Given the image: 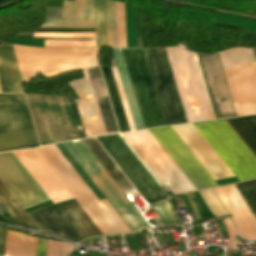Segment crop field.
<instances>
[{
	"label": "crop field",
	"mask_w": 256,
	"mask_h": 256,
	"mask_svg": "<svg viewBox=\"0 0 256 256\" xmlns=\"http://www.w3.org/2000/svg\"><path fill=\"white\" fill-rule=\"evenodd\" d=\"M13 153L53 203L72 198L34 149L14 151ZM29 214L42 231L75 242L91 236L102 235L73 198Z\"/></svg>",
	"instance_id": "1"
},
{
	"label": "crop field",
	"mask_w": 256,
	"mask_h": 256,
	"mask_svg": "<svg viewBox=\"0 0 256 256\" xmlns=\"http://www.w3.org/2000/svg\"><path fill=\"white\" fill-rule=\"evenodd\" d=\"M256 155V116L227 119ZM226 120L194 125L239 181L256 178V157Z\"/></svg>",
	"instance_id": "2"
},
{
	"label": "crop field",
	"mask_w": 256,
	"mask_h": 256,
	"mask_svg": "<svg viewBox=\"0 0 256 256\" xmlns=\"http://www.w3.org/2000/svg\"><path fill=\"white\" fill-rule=\"evenodd\" d=\"M36 150L79 204L98 200L55 145ZM80 206L103 235L131 232L106 200Z\"/></svg>",
	"instance_id": "3"
},
{
	"label": "crop field",
	"mask_w": 256,
	"mask_h": 256,
	"mask_svg": "<svg viewBox=\"0 0 256 256\" xmlns=\"http://www.w3.org/2000/svg\"><path fill=\"white\" fill-rule=\"evenodd\" d=\"M165 49L187 121L216 119L197 54L180 47Z\"/></svg>",
	"instance_id": "4"
},
{
	"label": "crop field",
	"mask_w": 256,
	"mask_h": 256,
	"mask_svg": "<svg viewBox=\"0 0 256 256\" xmlns=\"http://www.w3.org/2000/svg\"><path fill=\"white\" fill-rule=\"evenodd\" d=\"M14 46L24 83L39 71L50 78L97 65L95 49H44Z\"/></svg>",
	"instance_id": "5"
},
{
	"label": "crop field",
	"mask_w": 256,
	"mask_h": 256,
	"mask_svg": "<svg viewBox=\"0 0 256 256\" xmlns=\"http://www.w3.org/2000/svg\"><path fill=\"white\" fill-rule=\"evenodd\" d=\"M121 170L140 164L118 135L97 138ZM135 188L148 204L165 199V194L142 164L123 170ZM164 224L176 221L175 214L167 199L150 204Z\"/></svg>",
	"instance_id": "6"
},
{
	"label": "crop field",
	"mask_w": 256,
	"mask_h": 256,
	"mask_svg": "<svg viewBox=\"0 0 256 256\" xmlns=\"http://www.w3.org/2000/svg\"><path fill=\"white\" fill-rule=\"evenodd\" d=\"M79 141L76 143H64L63 145L131 231L138 232L143 227L150 228L82 141Z\"/></svg>",
	"instance_id": "7"
},
{
	"label": "crop field",
	"mask_w": 256,
	"mask_h": 256,
	"mask_svg": "<svg viewBox=\"0 0 256 256\" xmlns=\"http://www.w3.org/2000/svg\"><path fill=\"white\" fill-rule=\"evenodd\" d=\"M256 58V50H253ZM252 50L232 48L220 52L238 116L256 114V61Z\"/></svg>",
	"instance_id": "8"
},
{
	"label": "crop field",
	"mask_w": 256,
	"mask_h": 256,
	"mask_svg": "<svg viewBox=\"0 0 256 256\" xmlns=\"http://www.w3.org/2000/svg\"><path fill=\"white\" fill-rule=\"evenodd\" d=\"M22 95H0V151L39 146Z\"/></svg>",
	"instance_id": "9"
},
{
	"label": "crop field",
	"mask_w": 256,
	"mask_h": 256,
	"mask_svg": "<svg viewBox=\"0 0 256 256\" xmlns=\"http://www.w3.org/2000/svg\"><path fill=\"white\" fill-rule=\"evenodd\" d=\"M165 124L187 122L164 48L143 49Z\"/></svg>",
	"instance_id": "10"
},
{
	"label": "crop field",
	"mask_w": 256,
	"mask_h": 256,
	"mask_svg": "<svg viewBox=\"0 0 256 256\" xmlns=\"http://www.w3.org/2000/svg\"><path fill=\"white\" fill-rule=\"evenodd\" d=\"M122 135L162 185H168L170 189L190 185L148 130Z\"/></svg>",
	"instance_id": "11"
},
{
	"label": "crop field",
	"mask_w": 256,
	"mask_h": 256,
	"mask_svg": "<svg viewBox=\"0 0 256 256\" xmlns=\"http://www.w3.org/2000/svg\"><path fill=\"white\" fill-rule=\"evenodd\" d=\"M121 50L145 127L148 128L165 125L143 50Z\"/></svg>",
	"instance_id": "12"
},
{
	"label": "crop field",
	"mask_w": 256,
	"mask_h": 256,
	"mask_svg": "<svg viewBox=\"0 0 256 256\" xmlns=\"http://www.w3.org/2000/svg\"><path fill=\"white\" fill-rule=\"evenodd\" d=\"M149 131L191 181L196 190L217 186L171 127L150 129Z\"/></svg>",
	"instance_id": "13"
},
{
	"label": "crop field",
	"mask_w": 256,
	"mask_h": 256,
	"mask_svg": "<svg viewBox=\"0 0 256 256\" xmlns=\"http://www.w3.org/2000/svg\"><path fill=\"white\" fill-rule=\"evenodd\" d=\"M0 180L23 209L49 201L12 152L0 153Z\"/></svg>",
	"instance_id": "14"
},
{
	"label": "crop field",
	"mask_w": 256,
	"mask_h": 256,
	"mask_svg": "<svg viewBox=\"0 0 256 256\" xmlns=\"http://www.w3.org/2000/svg\"><path fill=\"white\" fill-rule=\"evenodd\" d=\"M219 119L234 117L236 111L219 54H199Z\"/></svg>",
	"instance_id": "15"
},
{
	"label": "crop field",
	"mask_w": 256,
	"mask_h": 256,
	"mask_svg": "<svg viewBox=\"0 0 256 256\" xmlns=\"http://www.w3.org/2000/svg\"><path fill=\"white\" fill-rule=\"evenodd\" d=\"M171 127L214 180L233 176L192 124Z\"/></svg>",
	"instance_id": "16"
},
{
	"label": "crop field",
	"mask_w": 256,
	"mask_h": 256,
	"mask_svg": "<svg viewBox=\"0 0 256 256\" xmlns=\"http://www.w3.org/2000/svg\"><path fill=\"white\" fill-rule=\"evenodd\" d=\"M215 190L228 208L246 240L256 239V221L235 189L234 185L218 187L215 188ZM236 224L235 227L238 235L244 238Z\"/></svg>",
	"instance_id": "17"
},
{
	"label": "crop field",
	"mask_w": 256,
	"mask_h": 256,
	"mask_svg": "<svg viewBox=\"0 0 256 256\" xmlns=\"http://www.w3.org/2000/svg\"><path fill=\"white\" fill-rule=\"evenodd\" d=\"M46 21L42 27L94 28L93 0L65 1L62 20Z\"/></svg>",
	"instance_id": "18"
},
{
	"label": "crop field",
	"mask_w": 256,
	"mask_h": 256,
	"mask_svg": "<svg viewBox=\"0 0 256 256\" xmlns=\"http://www.w3.org/2000/svg\"><path fill=\"white\" fill-rule=\"evenodd\" d=\"M100 67H101V70H102V73H103V77H104V80H105V83H106V86H107V90H108V93H109V97H110V100H111V103H112V107H113V110H114V114H115L116 121H117L120 132L135 130L134 126H133L131 116H130V112H129V109H128V106H127V103H126V99H125V96H124V93H123V89H122V86H121V83H120V79H119V76H118V73H117V70H116V67H113L111 69H112V73H113L115 83H116V86H117V89H118V93H119V96H120V99H121V103H122L123 110H124V113H125V116H126V120H127L128 126H129V130H128V126H127L125 116H124V113H123V110H122V106H121V103H120V100H119V96H118L117 89H116V86H115V83H114V79H113V76H112V73H111V69L109 67H105V66H100Z\"/></svg>",
	"instance_id": "19"
},
{
	"label": "crop field",
	"mask_w": 256,
	"mask_h": 256,
	"mask_svg": "<svg viewBox=\"0 0 256 256\" xmlns=\"http://www.w3.org/2000/svg\"><path fill=\"white\" fill-rule=\"evenodd\" d=\"M0 87L2 93H23L17 60L13 46L9 44L0 46Z\"/></svg>",
	"instance_id": "20"
},
{
	"label": "crop field",
	"mask_w": 256,
	"mask_h": 256,
	"mask_svg": "<svg viewBox=\"0 0 256 256\" xmlns=\"http://www.w3.org/2000/svg\"><path fill=\"white\" fill-rule=\"evenodd\" d=\"M89 77L107 134L118 133L98 66L88 68Z\"/></svg>",
	"instance_id": "21"
},
{
	"label": "crop field",
	"mask_w": 256,
	"mask_h": 256,
	"mask_svg": "<svg viewBox=\"0 0 256 256\" xmlns=\"http://www.w3.org/2000/svg\"><path fill=\"white\" fill-rule=\"evenodd\" d=\"M82 141L99 161V163L103 166V168L107 171V173L111 176V178L115 181L123 193L135 190L94 138L84 139Z\"/></svg>",
	"instance_id": "22"
},
{
	"label": "crop field",
	"mask_w": 256,
	"mask_h": 256,
	"mask_svg": "<svg viewBox=\"0 0 256 256\" xmlns=\"http://www.w3.org/2000/svg\"><path fill=\"white\" fill-rule=\"evenodd\" d=\"M112 53L114 56L116 66L118 68V72H119L121 82H122V85L124 88V92H125V95L127 98V102H128L129 109H130V112L132 115V119H133V122L135 125V129L136 130L143 129L145 127H144V124L142 121V117H141V114H140V111H139V108L137 105V101H136L133 89H132L131 82H130V79H129V76L127 73V69H126V66H125V63H124V60L122 57L121 50L112 48Z\"/></svg>",
	"instance_id": "23"
},
{
	"label": "crop field",
	"mask_w": 256,
	"mask_h": 256,
	"mask_svg": "<svg viewBox=\"0 0 256 256\" xmlns=\"http://www.w3.org/2000/svg\"><path fill=\"white\" fill-rule=\"evenodd\" d=\"M0 202L17 221L18 224L37 229V227L34 225L35 223L33 224L30 218L26 215V213L22 210V208L19 206V204L15 201V199L11 196V194L1 182Z\"/></svg>",
	"instance_id": "24"
},
{
	"label": "crop field",
	"mask_w": 256,
	"mask_h": 256,
	"mask_svg": "<svg viewBox=\"0 0 256 256\" xmlns=\"http://www.w3.org/2000/svg\"><path fill=\"white\" fill-rule=\"evenodd\" d=\"M107 47H117L115 2L105 0Z\"/></svg>",
	"instance_id": "25"
},
{
	"label": "crop field",
	"mask_w": 256,
	"mask_h": 256,
	"mask_svg": "<svg viewBox=\"0 0 256 256\" xmlns=\"http://www.w3.org/2000/svg\"><path fill=\"white\" fill-rule=\"evenodd\" d=\"M199 193L214 217L230 215L214 188L200 190Z\"/></svg>",
	"instance_id": "26"
},
{
	"label": "crop field",
	"mask_w": 256,
	"mask_h": 256,
	"mask_svg": "<svg viewBox=\"0 0 256 256\" xmlns=\"http://www.w3.org/2000/svg\"><path fill=\"white\" fill-rule=\"evenodd\" d=\"M235 187L256 219V180L235 184Z\"/></svg>",
	"instance_id": "27"
},
{
	"label": "crop field",
	"mask_w": 256,
	"mask_h": 256,
	"mask_svg": "<svg viewBox=\"0 0 256 256\" xmlns=\"http://www.w3.org/2000/svg\"><path fill=\"white\" fill-rule=\"evenodd\" d=\"M97 46L106 47L104 0H95Z\"/></svg>",
	"instance_id": "28"
},
{
	"label": "crop field",
	"mask_w": 256,
	"mask_h": 256,
	"mask_svg": "<svg viewBox=\"0 0 256 256\" xmlns=\"http://www.w3.org/2000/svg\"><path fill=\"white\" fill-rule=\"evenodd\" d=\"M118 47H126L124 4L116 2Z\"/></svg>",
	"instance_id": "29"
},
{
	"label": "crop field",
	"mask_w": 256,
	"mask_h": 256,
	"mask_svg": "<svg viewBox=\"0 0 256 256\" xmlns=\"http://www.w3.org/2000/svg\"><path fill=\"white\" fill-rule=\"evenodd\" d=\"M44 47L87 48L95 47V41L45 40Z\"/></svg>",
	"instance_id": "30"
},
{
	"label": "crop field",
	"mask_w": 256,
	"mask_h": 256,
	"mask_svg": "<svg viewBox=\"0 0 256 256\" xmlns=\"http://www.w3.org/2000/svg\"><path fill=\"white\" fill-rule=\"evenodd\" d=\"M35 38L95 39V33H34Z\"/></svg>",
	"instance_id": "31"
},
{
	"label": "crop field",
	"mask_w": 256,
	"mask_h": 256,
	"mask_svg": "<svg viewBox=\"0 0 256 256\" xmlns=\"http://www.w3.org/2000/svg\"><path fill=\"white\" fill-rule=\"evenodd\" d=\"M238 46L256 48V33L242 31Z\"/></svg>",
	"instance_id": "32"
},
{
	"label": "crop field",
	"mask_w": 256,
	"mask_h": 256,
	"mask_svg": "<svg viewBox=\"0 0 256 256\" xmlns=\"http://www.w3.org/2000/svg\"><path fill=\"white\" fill-rule=\"evenodd\" d=\"M60 246L75 248L74 245L66 244L63 242H53L49 240L48 253L52 254V256H59ZM49 254L48 256H51Z\"/></svg>",
	"instance_id": "33"
},
{
	"label": "crop field",
	"mask_w": 256,
	"mask_h": 256,
	"mask_svg": "<svg viewBox=\"0 0 256 256\" xmlns=\"http://www.w3.org/2000/svg\"><path fill=\"white\" fill-rule=\"evenodd\" d=\"M48 240L38 238L36 256H46Z\"/></svg>",
	"instance_id": "34"
},
{
	"label": "crop field",
	"mask_w": 256,
	"mask_h": 256,
	"mask_svg": "<svg viewBox=\"0 0 256 256\" xmlns=\"http://www.w3.org/2000/svg\"><path fill=\"white\" fill-rule=\"evenodd\" d=\"M224 223L226 225L228 234H229V243L228 244H234V234H235V230L234 227L230 221V219L224 220Z\"/></svg>",
	"instance_id": "35"
},
{
	"label": "crop field",
	"mask_w": 256,
	"mask_h": 256,
	"mask_svg": "<svg viewBox=\"0 0 256 256\" xmlns=\"http://www.w3.org/2000/svg\"><path fill=\"white\" fill-rule=\"evenodd\" d=\"M6 229L0 227V256H4Z\"/></svg>",
	"instance_id": "36"
},
{
	"label": "crop field",
	"mask_w": 256,
	"mask_h": 256,
	"mask_svg": "<svg viewBox=\"0 0 256 256\" xmlns=\"http://www.w3.org/2000/svg\"><path fill=\"white\" fill-rule=\"evenodd\" d=\"M185 197H186L187 200L189 201V203H190V205H191V207H192V210H193V212H194V214H195L197 220H198V221H199V220H202L201 217H200V215H199V213H198V211H197V209H196V207H195V205H194V203H193V201H192L191 198L188 196V194H186Z\"/></svg>",
	"instance_id": "37"
},
{
	"label": "crop field",
	"mask_w": 256,
	"mask_h": 256,
	"mask_svg": "<svg viewBox=\"0 0 256 256\" xmlns=\"http://www.w3.org/2000/svg\"><path fill=\"white\" fill-rule=\"evenodd\" d=\"M181 199H182V201L184 202V200H183L182 196H181ZM184 204H185V202H184ZM185 206H186V208H187L188 212H190L186 204H185ZM190 214H191V213H190Z\"/></svg>",
	"instance_id": "38"
}]
</instances>
